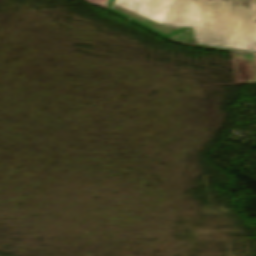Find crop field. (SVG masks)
<instances>
[{"mask_svg":"<svg viewBox=\"0 0 256 256\" xmlns=\"http://www.w3.org/2000/svg\"><path fill=\"white\" fill-rule=\"evenodd\" d=\"M110 12L164 39L186 30L188 46L256 52L255 0H116Z\"/></svg>","mask_w":256,"mask_h":256,"instance_id":"obj_1","label":"crop field"},{"mask_svg":"<svg viewBox=\"0 0 256 256\" xmlns=\"http://www.w3.org/2000/svg\"><path fill=\"white\" fill-rule=\"evenodd\" d=\"M89 3H92L94 5H97L105 10H109L113 0H85Z\"/></svg>","mask_w":256,"mask_h":256,"instance_id":"obj_2","label":"crop field"},{"mask_svg":"<svg viewBox=\"0 0 256 256\" xmlns=\"http://www.w3.org/2000/svg\"><path fill=\"white\" fill-rule=\"evenodd\" d=\"M254 58V61H255V63H256V56L255 57H253Z\"/></svg>","mask_w":256,"mask_h":256,"instance_id":"obj_3","label":"crop field"}]
</instances>
